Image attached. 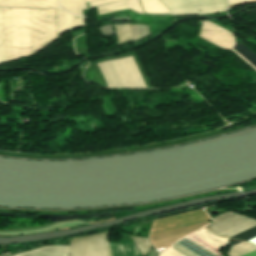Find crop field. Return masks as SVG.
I'll return each mask as SVG.
<instances>
[{"label": "crop field", "mask_w": 256, "mask_h": 256, "mask_svg": "<svg viewBox=\"0 0 256 256\" xmlns=\"http://www.w3.org/2000/svg\"><path fill=\"white\" fill-rule=\"evenodd\" d=\"M109 232L74 238L71 240L70 256H112L109 243Z\"/></svg>", "instance_id": "e52e79f7"}, {"label": "crop field", "mask_w": 256, "mask_h": 256, "mask_svg": "<svg viewBox=\"0 0 256 256\" xmlns=\"http://www.w3.org/2000/svg\"><path fill=\"white\" fill-rule=\"evenodd\" d=\"M216 25V24H215ZM209 21H202V27H201V32L198 36L208 40L209 42L223 48L226 50H230L234 52L236 55H238L241 59H243L246 63H248L251 67H253L256 70V55L249 50L245 45L242 43H238L234 45V35L231 32L225 31L217 26H215ZM234 45V46H233ZM233 46V49L237 50L240 54H242L247 61L242 55H240L237 51L231 49Z\"/></svg>", "instance_id": "412701ff"}, {"label": "crop field", "mask_w": 256, "mask_h": 256, "mask_svg": "<svg viewBox=\"0 0 256 256\" xmlns=\"http://www.w3.org/2000/svg\"><path fill=\"white\" fill-rule=\"evenodd\" d=\"M69 246L56 245L53 247H43L31 250L27 253L18 254L15 256H67Z\"/></svg>", "instance_id": "cbeb9de0"}, {"label": "crop field", "mask_w": 256, "mask_h": 256, "mask_svg": "<svg viewBox=\"0 0 256 256\" xmlns=\"http://www.w3.org/2000/svg\"><path fill=\"white\" fill-rule=\"evenodd\" d=\"M133 9L142 11L138 0H129ZM145 12L148 13H169L157 0L141 3ZM143 12V11H142Z\"/></svg>", "instance_id": "d9b57169"}, {"label": "crop field", "mask_w": 256, "mask_h": 256, "mask_svg": "<svg viewBox=\"0 0 256 256\" xmlns=\"http://www.w3.org/2000/svg\"><path fill=\"white\" fill-rule=\"evenodd\" d=\"M107 86L112 88H146L132 56L98 64Z\"/></svg>", "instance_id": "ac0d7876"}, {"label": "crop field", "mask_w": 256, "mask_h": 256, "mask_svg": "<svg viewBox=\"0 0 256 256\" xmlns=\"http://www.w3.org/2000/svg\"><path fill=\"white\" fill-rule=\"evenodd\" d=\"M13 255V254H12ZM12 255H9V256H12Z\"/></svg>", "instance_id": "ae1a2a85"}, {"label": "crop field", "mask_w": 256, "mask_h": 256, "mask_svg": "<svg viewBox=\"0 0 256 256\" xmlns=\"http://www.w3.org/2000/svg\"><path fill=\"white\" fill-rule=\"evenodd\" d=\"M56 13L58 37L85 23L83 18L69 15L61 9L56 10Z\"/></svg>", "instance_id": "22f410ed"}, {"label": "crop field", "mask_w": 256, "mask_h": 256, "mask_svg": "<svg viewBox=\"0 0 256 256\" xmlns=\"http://www.w3.org/2000/svg\"><path fill=\"white\" fill-rule=\"evenodd\" d=\"M172 15H195L225 11L227 0H158ZM199 11H201L199 13Z\"/></svg>", "instance_id": "dd49c442"}, {"label": "crop field", "mask_w": 256, "mask_h": 256, "mask_svg": "<svg viewBox=\"0 0 256 256\" xmlns=\"http://www.w3.org/2000/svg\"><path fill=\"white\" fill-rule=\"evenodd\" d=\"M244 256H256V251L251 252V253H249V254H247V255H244Z\"/></svg>", "instance_id": "a9b5d70f"}, {"label": "crop field", "mask_w": 256, "mask_h": 256, "mask_svg": "<svg viewBox=\"0 0 256 256\" xmlns=\"http://www.w3.org/2000/svg\"><path fill=\"white\" fill-rule=\"evenodd\" d=\"M141 2H143V1H147V0H140Z\"/></svg>", "instance_id": "730fd06b"}, {"label": "crop field", "mask_w": 256, "mask_h": 256, "mask_svg": "<svg viewBox=\"0 0 256 256\" xmlns=\"http://www.w3.org/2000/svg\"><path fill=\"white\" fill-rule=\"evenodd\" d=\"M131 240L137 247V249L140 251V253L143 255L147 254L150 250L149 247H151L148 239H142L139 237L130 236Z\"/></svg>", "instance_id": "bc2a9ffb"}, {"label": "crop field", "mask_w": 256, "mask_h": 256, "mask_svg": "<svg viewBox=\"0 0 256 256\" xmlns=\"http://www.w3.org/2000/svg\"><path fill=\"white\" fill-rule=\"evenodd\" d=\"M248 242H251L256 245V238L249 240Z\"/></svg>", "instance_id": "4177f3b9"}, {"label": "crop field", "mask_w": 256, "mask_h": 256, "mask_svg": "<svg viewBox=\"0 0 256 256\" xmlns=\"http://www.w3.org/2000/svg\"><path fill=\"white\" fill-rule=\"evenodd\" d=\"M196 235L197 237L203 239L204 241L208 242L209 244L215 246L216 248L222 250L224 248H227L229 239L222 238L220 236L211 234L204 228L192 233Z\"/></svg>", "instance_id": "5142ce71"}, {"label": "crop field", "mask_w": 256, "mask_h": 256, "mask_svg": "<svg viewBox=\"0 0 256 256\" xmlns=\"http://www.w3.org/2000/svg\"><path fill=\"white\" fill-rule=\"evenodd\" d=\"M4 63L12 61L10 9H1Z\"/></svg>", "instance_id": "28ad6ade"}, {"label": "crop field", "mask_w": 256, "mask_h": 256, "mask_svg": "<svg viewBox=\"0 0 256 256\" xmlns=\"http://www.w3.org/2000/svg\"><path fill=\"white\" fill-rule=\"evenodd\" d=\"M32 55L57 41L54 10H30Z\"/></svg>", "instance_id": "34b2d1b8"}, {"label": "crop field", "mask_w": 256, "mask_h": 256, "mask_svg": "<svg viewBox=\"0 0 256 256\" xmlns=\"http://www.w3.org/2000/svg\"><path fill=\"white\" fill-rule=\"evenodd\" d=\"M160 256H183V255L170 248L164 251V253L161 254Z\"/></svg>", "instance_id": "92a150f3"}, {"label": "crop field", "mask_w": 256, "mask_h": 256, "mask_svg": "<svg viewBox=\"0 0 256 256\" xmlns=\"http://www.w3.org/2000/svg\"><path fill=\"white\" fill-rule=\"evenodd\" d=\"M58 5V0H0V7L52 9Z\"/></svg>", "instance_id": "d1516ede"}, {"label": "crop field", "mask_w": 256, "mask_h": 256, "mask_svg": "<svg viewBox=\"0 0 256 256\" xmlns=\"http://www.w3.org/2000/svg\"><path fill=\"white\" fill-rule=\"evenodd\" d=\"M13 61L31 55L29 10L11 9Z\"/></svg>", "instance_id": "f4fd0767"}, {"label": "crop field", "mask_w": 256, "mask_h": 256, "mask_svg": "<svg viewBox=\"0 0 256 256\" xmlns=\"http://www.w3.org/2000/svg\"><path fill=\"white\" fill-rule=\"evenodd\" d=\"M207 229L215 234L231 237L256 226V220L228 211L212 219Z\"/></svg>", "instance_id": "d8731c3e"}, {"label": "crop field", "mask_w": 256, "mask_h": 256, "mask_svg": "<svg viewBox=\"0 0 256 256\" xmlns=\"http://www.w3.org/2000/svg\"><path fill=\"white\" fill-rule=\"evenodd\" d=\"M62 5L74 13L82 14L81 10L86 9V0H62ZM123 9H131L128 0L98 6V15L111 13Z\"/></svg>", "instance_id": "3316defc"}, {"label": "crop field", "mask_w": 256, "mask_h": 256, "mask_svg": "<svg viewBox=\"0 0 256 256\" xmlns=\"http://www.w3.org/2000/svg\"><path fill=\"white\" fill-rule=\"evenodd\" d=\"M171 248L185 256H224L220 250L192 234L176 242Z\"/></svg>", "instance_id": "5a996713"}, {"label": "crop field", "mask_w": 256, "mask_h": 256, "mask_svg": "<svg viewBox=\"0 0 256 256\" xmlns=\"http://www.w3.org/2000/svg\"><path fill=\"white\" fill-rule=\"evenodd\" d=\"M209 221L204 210L157 220L150 239L156 249L167 247L180 237L206 225Z\"/></svg>", "instance_id": "8a807250"}, {"label": "crop field", "mask_w": 256, "mask_h": 256, "mask_svg": "<svg viewBox=\"0 0 256 256\" xmlns=\"http://www.w3.org/2000/svg\"><path fill=\"white\" fill-rule=\"evenodd\" d=\"M119 44L131 40V31L129 24L115 25Z\"/></svg>", "instance_id": "4a817a6b"}, {"label": "crop field", "mask_w": 256, "mask_h": 256, "mask_svg": "<svg viewBox=\"0 0 256 256\" xmlns=\"http://www.w3.org/2000/svg\"><path fill=\"white\" fill-rule=\"evenodd\" d=\"M116 1H120V0H98V1L89 2V5L90 7H92V6L102 5V4L116 2Z\"/></svg>", "instance_id": "214f88e0"}, {"label": "crop field", "mask_w": 256, "mask_h": 256, "mask_svg": "<svg viewBox=\"0 0 256 256\" xmlns=\"http://www.w3.org/2000/svg\"><path fill=\"white\" fill-rule=\"evenodd\" d=\"M1 64H3V54H2L1 18H0V65Z\"/></svg>", "instance_id": "dafd665d"}, {"label": "crop field", "mask_w": 256, "mask_h": 256, "mask_svg": "<svg viewBox=\"0 0 256 256\" xmlns=\"http://www.w3.org/2000/svg\"><path fill=\"white\" fill-rule=\"evenodd\" d=\"M244 1H248V0H229V5H231L233 3L244 2Z\"/></svg>", "instance_id": "00972430"}, {"label": "crop field", "mask_w": 256, "mask_h": 256, "mask_svg": "<svg viewBox=\"0 0 256 256\" xmlns=\"http://www.w3.org/2000/svg\"><path fill=\"white\" fill-rule=\"evenodd\" d=\"M256 250V247L250 243L241 242L231 247L229 256H242L246 253Z\"/></svg>", "instance_id": "733c2abd"}, {"label": "crop field", "mask_w": 256, "mask_h": 256, "mask_svg": "<svg viewBox=\"0 0 256 256\" xmlns=\"http://www.w3.org/2000/svg\"><path fill=\"white\" fill-rule=\"evenodd\" d=\"M88 1H91V0H87V2H88Z\"/></svg>", "instance_id": "eef30255"}]
</instances>
